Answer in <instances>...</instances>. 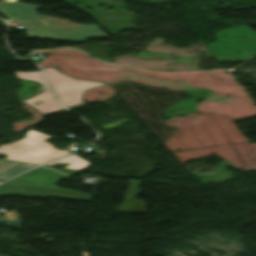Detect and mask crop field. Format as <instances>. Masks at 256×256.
I'll list each match as a JSON object with an SVG mask.
<instances>
[{
	"mask_svg": "<svg viewBox=\"0 0 256 256\" xmlns=\"http://www.w3.org/2000/svg\"><path fill=\"white\" fill-rule=\"evenodd\" d=\"M40 6L0 2V11L21 23L28 37L85 41L88 37H105L94 25H78L36 13Z\"/></svg>",
	"mask_w": 256,
	"mask_h": 256,
	"instance_id": "crop-field-1",
	"label": "crop field"
},
{
	"mask_svg": "<svg viewBox=\"0 0 256 256\" xmlns=\"http://www.w3.org/2000/svg\"><path fill=\"white\" fill-rule=\"evenodd\" d=\"M63 178H69V176L40 166L1 184L0 195L16 194L34 197L49 196L90 201L91 196L88 194L55 187V185Z\"/></svg>",
	"mask_w": 256,
	"mask_h": 256,
	"instance_id": "crop-field-2",
	"label": "crop field"
},
{
	"mask_svg": "<svg viewBox=\"0 0 256 256\" xmlns=\"http://www.w3.org/2000/svg\"><path fill=\"white\" fill-rule=\"evenodd\" d=\"M73 145L65 151H61L46 141H27L26 138H23L9 145H1L0 153L8 156L5 159L40 164L67 154Z\"/></svg>",
	"mask_w": 256,
	"mask_h": 256,
	"instance_id": "crop-field-3",
	"label": "crop field"
},
{
	"mask_svg": "<svg viewBox=\"0 0 256 256\" xmlns=\"http://www.w3.org/2000/svg\"><path fill=\"white\" fill-rule=\"evenodd\" d=\"M52 89L65 107L82 102L81 94L85 89L103 85V83L76 80L61 74L55 69H43ZM59 99V100H60Z\"/></svg>",
	"mask_w": 256,
	"mask_h": 256,
	"instance_id": "crop-field-4",
	"label": "crop field"
},
{
	"mask_svg": "<svg viewBox=\"0 0 256 256\" xmlns=\"http://www.w3.org/2000/svg\"><path fill=\"white\" fill-rule=\"evenodd\" d=\"M15 74L17 78L38 82L42 85L43 88V93L37 94L29 99L24 100L23 102L33 106L43 115L61 109L60 104L51 93V91H46V83L40 71L25 73L15 72Z\"/></svg>",
	"mask_w": 256,
	"mask_h": 256,
	"instance_id": "crop-field-5",
	"label": "crop field"
},
{
	"mask_svg": "<svg viewBox=\"0 0 256 256\" xmlns=\"http://www.w3.org/2000/svg\"><path fill=\"white\" fill-rule=\"evenodd\" d=\"M141 181L136 179L129 180V190L124 198V201L119 206L120 212H143L145 213L146 203L136 200L135 195L139 192L138 187Z\"/></svg>",
	"mask_w": 256,
	"mask_h": 256,
	"instance_id": "crop-field-6",
	"label": "crop field"
},
{
	"mask_svg": "<svg viewBox=\"0 0 256 256\" xmlns=\"http://www.w3.org/2000/svg\"><path fill=\"white\" fill-rule=\"evenodd\" d=\"M0 180L3 181L11 176H14L20 172H23L36 164L20 163L9 161L5 159H0Z\"/></svg>",
	"mask_w": 256,
	"mask_h": 256,
	"instance_id": "crop-field-7",
	"label": "crop field"
},
{
	"mask_svg": "<svg viewBox=\"0 0 256 256\" xmlns=\"http://www.w3.org/2000/svg\"><path fill=\"white\" fill-rule=\"evenodd\" d=\"M56 163H69L71 165H69V166H67L65 168L76 169V170H81L84 167H86L87 165H89L88 162L80 159L79 157H77L75 155L65 157L63 159L57 160V161L49 163L47 165H52V164H56Z\"/></svg>",
	"mask_w": 256,
	"mask_h": 256,
	"instance_id": "crop-field-8",
	"label": "crop field"
},
{
	"mask_svg": "<svg viewBox=\"0 0 256 256\" xmlns=\"http://www.w3.org/2000/svg\"><path fill=\"white\" fill-rule=\"evenodd\" d=\"M27 140H36V141H41V140H46L51 138L48 135L42 134L40 132H35V131H27V133L25 134Z\"/></svg>",
	"mask_w": 256,
	"mask_h": 256,
	"instance_id": "crop-field-9",
	"label": "crop field"
},
{
	"mask_svg": "<svg viewBox=\"0 0 256 256\" xmlns=\"http://www.w3.org/2000/svg\"><path fill=\"white\" fill-rule=\"evenodd\" d=\"M0 221L5 222L7 226H18L20 223V219H14V220H9V219H4L2 217H0Z\"/></svg>",
	"mask_w": 256,
	"mask_h": 256,
	"instance_id": "crop-field-10",
	"label": "crop field"
},
{
	"mask_svg": "<svg viewBox=\"0 0 256 256\" xmlns=\"http://www.w3.org/2000/svg\"><path fill=\"white\" fill-rule=\"evenodd\" d=\"M51 168L59 170V171L64 172V173H67V174H69L71 176H73L74 174H76L78 172L76 170H68V169L54 168V167H51Z\"/></svg>",
	"mask_w": 256,
	"mask_h": 256,
	"instance_id": "crop-field-11",
	"label": "crop field"
}]
</instances>
